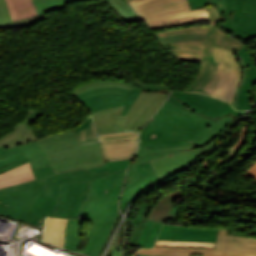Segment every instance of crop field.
<instances>
[{"label":"crop field","instance_id":"8a807250","mask_svg":"<svg viewBox=\"0 0 256 256\" xmlns=\"http://www.w3.org/2000/svg\"><path fill=\"white\" fill-rule=\"evenodd\" d=\"M28 162L33 170L51 164L58 173L101 165L104 160L100 142L80 145L73 131L10 149L0 147V173Z\"/></svg>","mask_w":256,"mask_h":256},{"label":"crop field","instance_id":"ac0d7876","mask_svg":"<svg viewBox=\"0 0 256 256\" xmlns=\"http://www.w3.org/2000/svg\"><path fill=\"white\" fill-rule=\"evenodd\" d=\"M236 117L225 116L218 124L183 111L170 101L144 127L139 146L148 149L193 145L202 147L220 136Z\"/></svg>","mask_w":256,"mask_h":256},{"label":"crop field","instance_id":"34b2d1b8","mask_svg":"<svg viewBox=\"0 0 256 256\" xmlns=\"http://www.w3.org/2000/svg\"><path fill=\"white\" fill-rule=\"evenodd\" d=\"M206 10L211 20L210 26L177 29L155 35L160 37L185 33H210L208 43L178 42L161 45L163 49H171L172 57L178 61L201 62L198 76L187 91L211 95L219 79V63L213 60L212 45L229 50H238L245 46L217 28L218 15L213 7H208Z\"/></svg>","mask_w":256,"mask_h":256},{"label":"crop field","instance_id":"412701ff","mask_svg":"<svg viewBox=\"0 0 256 256\" xmlns=\"http://www.w3.org/2000/svg\"><path fill=\"white\" fill-rule=\"evenodd\" d=\"M126 170L95 178L90 184L87 201H83L79 215L92 225L83 254L98 256L119 213L118 198ZM107 190V192H105ZM80 253V252H79Z\"/></svg>","mask_w":256,"mask_h":256},{"label":"crop field","instance_id":"f4fd0767","mask_svg":"<svg viewBox=\"0 0 256 256\" xmlns=\"http://www.w3.org/2000/svg\"><path fill=\"white\" fill-rule=\"evenodd\" d=\"M151 30L209 20L205 8L191 11L187 0H130Z\"/></svg>","mask_w":256,"mask_h":256},{"label":"crop field","instance_id":"dd49c442","mask_svg":"<svg viewBox=\"0 0 256 256\" xmlns=\"http://www.w3.org/2000/svg\"><path fill=\"white\" fill-rule=\"evenodd\" d=\"M33 172L36 177L35 180L39 197L35 196L29 210L42 219H45L46 216H53L58 203L60 184L92 181L94 177L107 174L105 172L94 175V172H86L85 169L57 174L51 165L34 170Z\"/></svg>","mask_w":256,"mask_h":256},{"label":"crop field","instance_id":"e52e79f7","mask_svg":"<svg viewBox=\"0 0 256 256\" xmlns=\"http://www.w3.org/2000/svg\"><path fill=\"white\" fill-rule=\"evenodd\" d=\"M35 195L38 196L34 180L0 189V214L43 226L44 220L28 210Z\"/></svg>","mask_w":256,"mask_h":256},{"label":"crop field","instance_id":"d8731c3e","mask_svg":"<svg viewBox=\"0 0 256 256\" xmlns=\"http://www.w3.org/2000/svg\"><path fill=\"white\" fill-rule=\"evenodd\" d=\"M168 100L190 114L194 113L216 123L225 115L240 116L244 113V111H236L229 103L201 94L172 92Z\"/></svg>","mask_w":256,"mask_h":256},{"label":"crop field","instance_id":"5a996713","mask_svg":"<svg viewBox=\"0 0 256 256\" xmlns=\"http://www.w3.org/2000/svg\"><path fill=\"white\" fill-rule=\"evenodd\" d=\"M225 16L222 29L244 41L256 42V0H226Z\"/></svg>","mask_w":256,"mask_h":256},{"label":"crop field","instance_id":"3316defc","mask_svg":"<svg viewBox=\"0 0 256 256\" xmlns=\"http://www.w3.org/2000/svg\"><path fill=\"white\" fill-rule=\"evenodd\" d=\"M213 56L216 62H220V80L212 96L232 105L241 74L240 64L233 51L213 46Z\"/></svg>","mask_w":256,"mask_h":256},{"label":"crop field","instance_id":"28ad6ade","mask_svg":"<svg viewBox=\"0 0 256 256\" xmlns=\"http://www.w3.org/2000/svg\"><path fill=\"white\" fill-rule=\"evenodd\" d=\"M162 92H142L127 115H130L123 132H139L167 97Z\"/></svg>","mask_w":256,"mask_h":256},{"label":"crop field","instance_id":"d1516ede","mask_svg":"<svg viewBox=\"0 0 256 256\" xmlns=\"http://www.w3.org/2000/svg\"><path fill=\"white\" fill-rule=\"evenodd\" d=\"M105 161L133 158L138 145V133L99 136Z\"/></svg>","mask_w":256,"mask_h":256},{"label":"crop field","instance_id":"22f410ed","mask_svg":"<svg viewBox=\"0 0 256 256\" xmlns=\"http://www.w3.org/2000/svg\"><path fill=\"white\" fill-rule=\"evenodd\" d=\"M142 92L140 88H134L126 95L117 93H100L85 97L79 101L91 111L92 115L96 112L104 111L107 109L115 108L118 106H124L126 109L123 112L125 115L129 109L132 107L134 101Z\"/></svg>","mask_w":256,"mask_h":256},{"label":"crop field","instance_id":"cbeb9de0","mask_svg":"<svg viewBox=\"0 0 256 256\" xmlns=\"http://www.w3.org/2000/svg\"><path fill=\"white\" fill-rule=\"evenodd\" d=\"M90 182L61 185L59 203L55 215L77 218L82 200H86Z\"/></svg>","mask_w":256,"mask_h":256},{"label":"crop field","instance_id":"5142ce71","mask_svg":"<svg viewBox=\"0 0 256 256\" xmlns=\"http://www.w3.org/2000/svg\"><path fill=\"white\" fill-rule=\"evenodd\" d=\"M220 139L221 138L219 137L213 140L208 145L199 149L183 151V152L171 154L172 156L168 155V156L156 159L154 161H151V164L154 170L156 171L157 175L161 179L162 177L180 169L189 161L197 158L198 156L212 149Z\"/></svg>","mask_w":256,"mask_h":256},{"label":"crop field","instance_id":"d9b57169","mask_svg":"<svg viewBox=\"0 0 256 256\" xmlns=\"http://www.w3.org/2000/svg\"><path fill=\"white\" fill-rule=\"evenodd\" d=\"M215 254L256 255V238H249L233 231L226 235V229H219Z\"/></svg>","mask_w":256,"mask_h":256},{"label":"crop field","instance_id":"733c2abd","mask_svg":"<svg viewBox=\"0 0 256 256\" xmlns=\"http://www.w3.org/2000/svg\"><path fill=\"white\" fill-rule=\"evenodd\" d=\"M218 229H195L163 224L157 240L216 242Z\"/></svg>","mask_w":256,"mask_h":256},{"label":"crop field","instance_id":"4a817a6b","mask_svg":"<svg viewBox=\"0 0 256 256\" xmlns=\"http://www.w3.org/2000/svg\"><path fill=\"white\" fill-rule=\"evenodd\" d=\"M43 114V112L30 110L28 118L22 124L13 127L14 130L11 133L0 138V146L3 145L5 148H10L37 139L33 135L30 126Z\"/></svg>","mask_w":256,"mask_h":256},{"label":"crop field","instance_id":"bc2a9ffb","mask_svg":"<svg viewBox=\"0 0 256 256\" xmlns=\"http://www.w3.org/2000/svg\"><path fill=\"white\" fill-rule=\"evenodd\" d=\"M192 146L188 147H176V148H165V149H155V150H148L147 146L139 147V152L136 156V159L132 162V164L129 167L126 183L124 190L135 180L140 178L139 173L137 171L136 166L151 160H154L156 158L178 152L183 150L191 149Z\"/></svg>","mask_w":256,"mask_h":256},{"label":"crop field","instance_id":"214f88e0","mask_svg":"<svg viewBox=\"0 0 256 256\" xmlns=\"http://www.w3.org/2000/svg\"><path fill=\"white\" fill-rule=\"evenodd\" d=\"M141 178L130 185L122 194L120 209L124 210L127 203L137 194L159 180L150 163H145L137 167Z\"/></svg>","mask_w":256,"mask_h":256},{"label":"crop field","instance_id":"92a150f3","mask_svg":"<svg viewBox=\"0 0 256 256\" xmlns=\"http://www.w3.org/2000/svg\"><path fill=\"white\" fill-rule=\"evenodd\" d=\"M214 251L215 249L155 246L152 249H142L137 253L155 256H190V254H204V256H229L214 255Z\"/></svg>","mask_w":256,"mask_h":256},{"label":"crop field","instance_id":"dafd665d","mask_svg":"<svg viewBox=\"0 0 256 256\" xmlns=\"http://www.w3.org/2000/svg\"><path fill=\"white\" fill-rule=\"evenodd\" d=\"M239 53L241 54V56L243 57L246 63L247 76L241 87L236 109L248 110V108L252 105L249 101V92H250L251 85L256 83V67L253 66L247 54L246 48L239 50Z\"/></svg>","mask_w":256,"mask_h":256},{"label":"crop field","instance_id":"00972430","mask_svg":"<svg viewBox=\"0 0 256 256\" xmlns=\"http://www.w3.org/2000/svg\"><path fill=\"white\" fill-rule=\"evenodd\" d=\"M35 179L28 164L0 174V188L23 183Z\"/></svg>","mask_w":256,"mask_h":256},{"label":"crop field","instance_id":"a9b5d70f","mask_svg":"<svg viewBox=\"0 0 256 256\" xmlns=\"http://www.w3.org/2000/svg\"><path fill=\"white\" fill-rule=\"evenodd\" d=\"M66 221L67 219L47 218L44 231V240L63 248Z\"/></svg>","mask_w":256,"mask_h":256},{"label":"crop field","instance_id":"4177f3b9","mask_svg":"<svg viewBox=\"0 0 256 256\" xmlns=\"http://www.w3.org/2000/svg\"><path fill=\"white\" fill-rule=\"evenodd\" d=\"M181 193V189L178 188L162 196L155 207L151 210L147 219L162 222L167 216L170 208L173 206L171 202L181 196Z\"/></svg>","mask_w":256,"mask_h":256},{"label":"crop field","instance_id":"730fd06b","mask_svg":"<svg viewBox=\"0 0 256 256\" xmlns=\"http://www.w3.org/2000/svg\"><path fill=\"white\" fill-rule=\"evenodd\" d=\"M6 2L13 21L38 15L32 0H6Z\"/></svg>","mask_w":256,"mask_h":256},{"label":"crop field","instance_id":"eef30255","mask_svg":"<svg viewBox=\"0 0 256 256\" xmlns=\"http://www.w3.org/2000/svg\"><path fill=\"white\" fill-rule=\"evenodd\" d=\"M82 220L69 219L65 230L64 248L77 252L80 246Z\"/></svg>","mask_w":256,"mask_h":256},{"label":"crop field","instance_id":"ae1a2a85","mask_svg":"<svg viewBox=\"0 0 256 256\" xmlns=\"http://www.w3.org/2000/svg\"><path fill=\"white\" fill-rule=\"evenodd\" d=\"M162 223L146 220L136 246L153 247L156 235Z\"/></svg>","mask_w":256,"mask_h":256},{"label":"crop field","instance_id":"d3111659","mask_svg":"<svg viewBox=\"0 0 256 256\" xmlns=\"http://www.w3.org/2000/svg\"><path fill=\"white\" fill-rule=\"evenodd\" d=\"M77 1H83V0H33L39 15L45 14L47 12L57 10V9H65L66 8L65 4H67L68 2H77Z\"/></svg>","mask_w":256,"mask_h":256},{"label":"crop field","instance_id":"750c4746","mask_svg":"<svg viewBox=\"0 0 256 256\" xmlns=\"http://www.w3.org/2000/svg\"><path fill=\"white\" fill-rule=\"evenodd\" d=\"M80 143L98 140L91 117L81 124L77 129L73 130Z\"/></svg>","mask_w":256,"mask_h":256},{"label":"crop field","instance_id":"bd1437ed","mask_svg":"<svg viewBox=\"0 0 256 256\" xmlns=\"http://www.w3.org/2000/svg\"><path fill=\"white\" fill-rule=\"evenodd\" d=\"M124 107H119L115 109H111L108 111H104L101 113L94 114L93 119H103L115 117V125H116V133L122 132V129L127 121L128 116H123L122 112L124 111Z\"/></svg>","mask_w":256,"mask_h":256},{"label":"crop field","instance_id":"1d83c4d3","mask_svg":"<svg viewBox=\"0 0 256 256\" xmlns=\"http://www.w3.org/2000/svg\"><path fill=\"white\" fill-rule=\"evenodd\" d=\"M111 7L126 21H138L140 17L124 0H108Z\"/></svg>","mask_w":256,"mask_h":256},{"label":"crop field","instance_id":"120bbe31","mask_svg":"<svg viewBox=\"0 0 256 256\" xmlns=\"http://www.w3.org/2000/svg\"><path fill=\"white\" fill-rule=\"evenodd\" d=\"M99 86H118V87H123V88L129 89V90H131L133 88L131 85L122 83L120 81H98V82H93V83H89V84H84V85L76 88L73 91V94L76 95L83 91L90 90V89H93V88L99 87Z\"/></svg>","mask_w":256,"mask_h":256},{"label":"crop field","instance_id":"d32e631a","mask_svg":"<svg viewBox=\"0 0 256 256\" xmlns=\"http://www.w3.org/2000/svg\"><path fill=\"white\" fill-rule=\"evenodd\" d=\"M209 34H185L170 37L158 38L160 43L178 42V41H202L207 42Z\"/></svg>","mask_w":256,"mask_h":256},{"label":"crop field","instance_id":"5866460e","mask_svg":"<svg viewBox=\"0 0 256 256\" xmlns=\"http://www.w3.org/2000/svg\"><path fill=\"white\" fill-rule=\"evenodd\" d=\"M132 159L125 160V161H118V162H105V164L97 167H93L90 169H86L87 171H95L96 173L107 171V173H111L121 169H127L128 164Z\"/></svg>","mask_w":256,"mask_h":256},{"label":"crop field","instance_id":"028f5c9d","mask_svg":"<svg viewBox=\"0 0 256 256\" xmlns=\"http://www.w3.org/2000/svg\"><path fill=\"white\" fill-rule=\"evenodd\" d=\"M148 204L146 203H142L137 215H136V218L133 222V234H132V238H131V241H130V245H133L135 246L136 242H137V239L139 237V234L141 232V229L143 227V224L145 221L143 220H140L146 207H147Z\"/></svg>","mask_w":256,"mask_h":256},{"label":"crop field","instance_id":"e1f06a70","mask_svg":"<svg viewBox=\"0 0 256 256\" xmlns=\"http://www.w3.org/2000/svg\"><path fill=\"white\" fill-rule=\"evenodd\" d=\"M155 245L215 248L216 243L157 241Z\"/></svg>","mask_w":256,"mask_h":256},{"label":"crop field","instance_id":"0bd39190","mask_svg":"<svg viewBox=\"0 0 256 256\" xmlns=\"http://www.w3.org/2000/svg\"><path fill=\"white\" fill-rule=\"evenodd\" d=\"M98 134L115 133L114 118L94 121Z\"/></svg>","mask_w":256,"mask_h":256},{"label":"crop field","instance_id":"b80d0937","mask_svg":"<svg viewBox=\"0 0 256 256\" xmlns=\"http://www.w3.org/2000/svg\"><path fill=\"white\" fill-rule=\"evenodd\" d=\"M108 91L126 94L129 90L118 88V87H99V88H95L90 91L83 92L75 97L79 100V99H81L85 96L91 95V94H95V93H99V92H108Z\"/></svg>","mask_w":256,"mask_h":256},{"label":"crop field","instance_id":"c035e120","mask_svg":"<svg viewBox=\"0 0 256 256\" xmlns=\"http://www.w3.org/2000/svg\"><path fill=\"white\" fill-rule=\"evenodd\" d=\"M12 22L5 0H0V25Z\"/></svg>","mask_w":256,"mask_h":256},{"label":"crop field","instance_id":"c21b1889","mask_svg":"<svg viewBox=\"0 0 256 256\" xmlns=\"http://www.w3.org/2000/svg\"><path fill=\"white\" fill-rule=\"evenodd\" d=\"M237 57H238V60L241 64V69H242V74H241V80L239 82V85H238V89H237V92L235 94V98H234V103H233V106L236 108V104H237V98H238V93H239V89L245 79V75H246V68H245V64H244V61L242 59V57L239 55V53L237 51H235Z\"/></svg>","mask_w":256,"mask_h":256},{"label":"crop field","instance_id":"03da06ac","mask_svg":"<svg viewBox=\"0 0 256 256\" xmlns=\"http://www.w3.org/2000/svg\"><path fill=\"white\" fill-rule=\"evenodd\" d=\"M134 83L142 86L143 90L145 91H163L168 93L170 90V87L147 85L138 79Z\"/></svg>","mask_w":256,"mask_h":256},{"label":"crop field","instance_id":"b54c1fbb","mask_svg":"<svg viewBox=\"0 0 256 256\" xmlns=\"http://www.w3.org/2000/svg\"><path fill=\"white\" fill-rule=\"evenodd\" d=\"M188 1L192 10L211 6V4L209 3V0H188Z\"/></svg>","mask_w":256,"mask_h":256},{"label":"crop field","instance_id":"5d738f31","mask_svg":"<svg viewBox=\"0 0 256 256\" xmlns=\"http://www.w3.org/2000/svg\"><path fill=\"white\" fill-rule=\"evenodd\" d=\"M244 175L256 179V163L250 169H248Z\"/></svg>","mask_w":256,"mask_h":256},{"label":"crop field","instance_id":"d23c7cc5","mask_svg":"<svg viewBox=\"0 0 256 256\" xmlns=\"http://www.w3.org/2000/svg\"><path fill=\"white\" fill-rule=\"evenodd\" d=\"M121 248L122 246L114 245L111 256H121Z\"/></svg>","mask_w":256,"mask_h":256},{"label":"crop field","instance_id":"425ffa30","mask_svg":"<svg viewBox=\"0 0 256 256\" xmlns=\"http://www.w3.org/2000/svg\"><path fill=\"white\" fill-rule=\"evenodd\" d=\"M230 256H239V255H230Z\"/></svg>","mask_w":256,"mask_h":256},{"label":"crop field","instance_id":"25e5ab78","mask_svg":"<svg viewBox=\"0 0 256 256\" xmlns=\"http://www.w3.org/2000/svg\"><path fill=\"white\" fill-rule=\"evenodd\" d=\"M140 255V254H139ZM146 256H149V255H146Z\"/></svg>","mask_w":256,"mask_h":256}]
</instances>
